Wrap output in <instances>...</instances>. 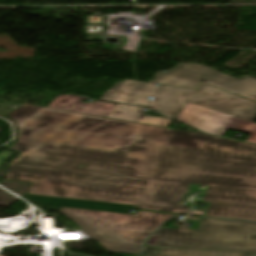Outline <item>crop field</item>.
<instances>
[{
  "label": "crop field",
  "mask_w": 256,
  "mask_h": 256,
  "mask_svg": "<svg viewBox=\"0 0 256 256\" xmlns=\"http://www.w3.org/2000/svg\"><path fill=\"white\" fill-rule=\"evenodd\" d=\"M154 138L136 135L124 151H25L6 179L32 182L28 194L181 214L191 207L180 205L190 183L209 185L205 216L256 221V145L216 137L195 150L152 145Z\"/></svg>",
  "instance_id": "8a807250"
},
{
  "label": "crop field",
  "mask_w": 256,
  "mask_h": 256,
  "mask_svg": "<svg viewBox=\"0 0 256 256\" xmlns=\"http://www.w3.org/2000/svg\"><path fill=\"white\" fill-rule=\"evenodd\" d=\"M9 117L20 129L12 149L21 156L25 150H50L55 143L124 150L140 125L27 104Z\"/></svg>",
  "instance_id": "ac0d7876"
},
{
  "label": "crop field",
  "mask_w": 256,
  "mask_h": 256,
  "mask_svg": "<svg viewBox=\"0 0 256 256\" xmlns=\"http://www.w3.org/2000/svg\"><path fill=\"white\" fill-rule=\"evenodd\" d=\"M124 80L106 91L101 100L155 107L176 118L188 101L255 122L256 103L202 83L197 90ZM147 96L155 97L148 101Z\"/></svg>",
  "instance_id": "34b2d1b8"
},
{
  "label": "crop field",
  "mask_w": 256,
  "mask_h": 256,
  "mask_svg": "<svg viewBox=\"0 0 256 256\" xmlns=\"http://www.w3.org/2000/svg\"><path fill=\"white\" fill-rule=\"evenodd\" d=\"M60 212L77 223L110 252L138 253L143 240L169 214L136 211L135 215L62 207Z\"/></svg>",
  "instance_id": "412701ff"
},
{
  "label": "crop field",
  "mask_w": 256,
  "mask_h": 256,
  "mask_svg": "<svg viewBox=\"0 0 256 256\" xmlns=\"http://www.w3.org/2000/svg\"><path fill=\"white\" fill-rule=\"evenodd\" d=\"M145 245L256 251V223L201 218L198 230L159 228Z\"/></svg>",
  "instance_id": "f4fd0767"
},
{
  "label": "crop field",
  "mask_w": 256,
  "mask_h": 256,
  "mask_svg": "<svg viewBox=\"0 0 256 256\" xmlns=\"http://www.w3.org/2000/svg\"><path fill=\"white\" fill-rule=\"evenodd\" d=\"M203 81L256 102V78L246 75L237 79L196 63H181L166 73L158 72L149 82L196 89Z\"/></svg>",
  "instance_id": "dd49c442"
},
{
  "label": "crop field",
  "mask_w": 256,
  "mask_h": 256,
  "mask_svg": "<svg viewBox=\"0 0 256 256\" xmlns=\"http://www.w3.org/2000/svg\"><path fill=\"white\" fill-rule=\"evenodd\" d=\"M176 120L222 136L228 129L251 134L246 141L256 142V124L188 102Z\"/></svg>",
  "instance_id": "e52e79f7"
},
{
  "label": "crop field",
  "mask_w": 256,
  "mask_h": 256,
  "mask_svg": "<svg viewBox=\"0 0 256 256\" xmlns=\"http://www.w3.org/2000/svg\"><path fill=\"white\" fill-rule=\"evenodd\" d=\"M137 134L155 136L152 144L200 149L214 137L200 132H184L140 125Z\"/></svg>",
  "instance_id": "d8731c3e"
},
{
  "label": "crop field",
  "mask_w": 256,
  "mask_h": 256,
  "mask_svg": "<svg viewBox=\"0 0 256 256\" xmlns=\"http://www.w3.org/2000/svg\"><path fill=\"white\" fill-rule=\"evenodd\" d=\"M22 197L37 204L43 210L52 211V212H59L61 206H66V207L83 208V209H91V210H99V211L133 214V213H130L131 209L136 210L137 208L134 206L106 204V203H97V202H88V201L43 197V196H33V195H27V194H23Z\"/></svg>",
  "instance_id": "5a996713"
},
{
  "label": "crop field",
  "mask_w": 256,
  "mask_h": 256,
  "mask_svg": "<svg viewBox=\"0 0 256 256\" xmlns=\"http://www.w3.org/2000/svg\"><path fill=\"white\" fill-rule=\"evenodd\" d=\"M81 106L85 108H81ZM114 106L115 104L98 101H94L93 103H82L80 101V96L60 95L55 98L47 107L106 117Z\"/></svg>",
  "instance_id": "3316defc"
},
{
  "label": "crop field",
  "mask_w": 256,
  "mask_h": 256,
  "mask_svg": "<svg viewBox=\"0 0 256 256\" xmlns=\"http://www.w3.org/2000/svg\"><path fill=\"white\" fill-rule=\"evenodd\" d=\"M254 252L199 250L172 247L144 246L141 255L145 256H252Z\"/></svg>",
  "instance_id": "28ad6ade"
},
{
  "label": "crop field",
  "mask_w": 256,
  "mask_h": 256,
  "mask_svg": "<svg viewBox=\"0 0 256 256\" xmlns=\"http://www.w3.org/2000/svg\"><path fill=\"white\" fill-rule=\"evenodd\" d=\"M107 117L125 120V121L161 126L166 128H169V126L172 123V120H169L166 118H154V117L144 116L143 108L121 105V104H117Z\"/></svg>",
  "instance_id": "d1516ede"
},
{
  "label": "crop field",
  "mask_w": 256,
  "mask_h": 256,
  "mask_svg": "<svg viewBox=\"0 0 256 256\" xmlns=\"http://www.w3.org/2000/svg\"><path fill=\"white\" fill-rule=\"evenodd\" d=\"M69 256H80V255H69Z\"/></svg>",
  "instance_id": "22f410ed"
}]
</instances>
